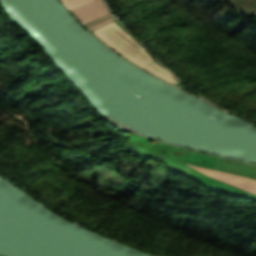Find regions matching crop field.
I'll return each instance as SVG.
<instances>
[{
    "label": "crop field",
    "instance_id": "2",
    "mask_svg": "<svg viewBox=\"0 0 256 256\" xmlns=\"http://www.w3.org/2000/svg\"><path fill=\"white\" fill-rule=\"evenodd\" d=\"M74 12L82 21L85 22V24L109 13L107 11L106 7H104L103 4L100 2V0H96L92 3H89V4L81 7V8H78V9L74 10ZM111 20H113V18L111 17L110 14H108L98 20H95V21L87 24V26L90 29H92L94 27H97V26L104 24L106 22H109Z\"/></svg>",
    "mask_w": 256,
    "mask_h": 256
},
{
    "label": "crop field",
    "instance_id": "4",
    "mask_svg": "<svg viewBox=\"0 0 256 256\" xmlns=\"http://www.w3.org/2000/svg\"><path fill=\"white\" fill-rule=\"evenodd\" d=\"M62 1L65 3V5L71 11V10H73V9H75L77 7H80V6H82V5L86 4V3H89V2H91L93 0H62Z\"/></svg>",
    "mask_w": 256,
    "mask_h": 256
},
{
    "label": "crop field",
    "instance_id": "1",
    "mask_svg": "<svg viewBox=\"0 0 256 256\" xmlns=\"http://www.w3.org/2000/svg\"><path fill=\"white\" fill-rule=\"evenodd\" d=\"M93 33L130 61L173 84L179 82L177 78L163 69L164 67L162 68L150 53L136 42L137 40L135 41L117 20L93 31Z\"/></svg>",
    "mask_w": 256,
    "mask_h": 256
},
{
    "label": "crop field",
    "instance_id": "3",
    "mask_svg": "<svg viewBox=\"0 0 256 256\" xmlns=\"http://www.w3.org/2000/svg\"><path fill=\"white\" fill-rule=\"evenodd\" d=\"M193 167H195V166H193ZM195 168L202 171L203 173L211 176V177H214L216 179H219V180H222L224 182L230 183V184H232L234 186H237L241 189H243L245 187V185L250 180V179L237 177V176H233V175H228V174H224V173H219V172H215V171H211V170H207V169H203V168H199V167H195ZM252 179L256 180V175Z\"/></svg>",
    "mask_w": 256,
    "mask_h": 256
}]
</instances>
